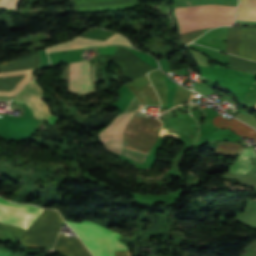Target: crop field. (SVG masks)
Segmentation results:
<instances>
[{
	"label": "crop field",
	"instance_id": "crop-field-1",
	"mask_svg": "<svg viewBox=\"0 0 256 256\" xmlns=\"http://www.w3.org/2000/svg\"><path fill=\"white\" fill-rule=\"evenodd\" d=\"M236 7L201 5L176 8L181 34L220 25H233Z\"/></svg>",
	"mask_w": 256,
	"mask_h": 256
},
{
	"label": "crop field",
	"instance_id": "crop-field-13",
	"mask_svg": "<svg viewBox=\"0 0 256 256\" xmlns=\"http://www.w3.org/2000/svg\"><path fill=\"white\" fill-rule=\"evenodd\" d=\"M250 157H256L254 149L245 148L240 158L229 171V173L243 175L249 169L253 168Z\"/></svg>",
	"mask_w": 256,
	"mask_h": 256
},
{
	"label": "crop field",
	"instance_id": "crop-field-5",
	"mask_svg": "<svg viewBox=\"0 0 256 256\" xmlns=\"http://www.w3.org/2000/svg\"><path fill=\"white\" fill-rule=\"evenodd\" d=\"M42 94L43 91L34 80L28 83L23 91L14 98V100L18 103L27 104L31 113L36 117L55 124L59 118L51 114L48 106L41 98Z\"/></svg>",
	"mask_w": 256,
	"mask_h": 256
},
{
	"label": "crop field",
	"instance_id": "crop-field-19",
	"mask_svg": "<svg viewBox=\"0 0 256 256\" xmlns=\"http://www.w3.org/2000/svg\"><path fill=\"white\" fill-rule=\"evenodd\" d=\"M143 107L142 104H140L137 99L133 96V98L131 99V101L129 102L128 106L126 107V109L124 110V112L127 111H138L141 110Z\"/></svg>",
	"mask_w": 256,
	"mask_h": 256
},
{
	"label": "crop field",
	"instance_id": "crop-field-20",
	"mask_svg": "<svg viewBox=\"0 0 256 256\" xmlns=\"http://www.w3.org/2000/svg\"><path fill=\"white\" fill-rule=\"evenodd\" d=\"M21 1V0H20ZM19 0H10L7 8L14 10L18 4ZM20 3V2H19Z\"/></svg>",
	"mask_w": 256,
	"mask_h": 256
},
{
	"label": "crop field",
	"instance_id": "crop-field-18",
	"mask_svg": "<svg viewBox=\"0 0 256 256\" xmlns=\"http://www.w3.org/2000/svg\"><path fill=\"white\" fill-rule=\"evenodd\" d=\"M193 92L182 88L181 86L177 85V89L174 96L173 106L182 104L185 102H189L191 99Z\"/></svg>",
	"mask_w": 256,
	"mask_h": 256
},
{
	"label": "crop field",
	"instance_id": "crop-field-11",
	"mask_svg": "<svg viewBox=\"0 0 256 256\" xmlns=\"http://www.w3.org/2000/svg\"><path fill=\"white\" fill-rule=\"evenodd\" d=\"M238 55L256 60L255 27H242Z\"/></svg>",
	"mask_w": 256,
	"mask_h": 256
},
{
	"label": "crop field",
	"instance_id": "crop-field-15",
	"mask_svg": "<svg viewBox=\"0 0 256 256\" xmlns=\"http://www.w3.org/2000/svg\"><path fill=\"white\" fill-rule=\"evenodd\" d=\"M237 19L256 21V0H241Z\"/></svg>",
	"mask_w": 256,
	"mask_h": 256
},
{
	"label": "crop field",
	"instance_id": "crop-field-12",
	"mask_svg": "<svg viewBox=\"0 0 256 256\" xmlns=\"http://www.w3.org/2000/svg\"><path fill=\"white\" fill-rule=\"evenodd\" d=\"M213 123L221 128H229L241 136L254 137L256 139L255 130L233 118L228 121L218 115L213 119Z\"/></svg>",
	"mask_w": 256,
	"mask_h": 256
},
{
	"label": "crop field",
	"instance_id": "crop-field-8",
	"mask_svg": "<svg viewBox=\"0 0 256 256\" xmlns=\"http://www.w3.org/2000/svg\"><path fill=\"white\" fill-rule=\"evenodd\" d=\"M69 89L75 92H93L89 81V62L70 63V85Z\"/></svg>",
	"mask_w": 256,
	"mask_h": 256
},
{
	"label": "crop field",
	"instance_id": "crop-field-14",
	"mask_svg": "<svg viewBox=\"0 0 256 256\" xmlns=\"http://www.w3.org/2000/svg\"><path fill=\"white\" fill-rule=\"evenodd\" d=\"M149 78L161 100V106H166V86L159 70L149 73Z\"/></svg>",
	"mask_w": 256,
	"mask_h": 256
},
{
	"label": "crop field",
	"instance_id": "crop-field-7",
	"mask_svg": "<svg viewBox=\"0 0 256 256\" xmlns=\"http://www.w3.org/2000/svg\"><path fill=\"white\" fill-rule=\"evenodd\" d=\"M131 115L132 113L119 114L112 124L99 134L106 148L121 153L123 130Z\"/></svg>",
	"mask_w": 256,
	"mask_h": 256
},
{
	"label": "crop field",
	"instance_id": "crop-field-9",
	"mask_svg": "<svg viewBox=\"0 0 256 256\" xmlns=\"http://www.w3.org/2000/svg\"><path fill=\"white\" fill-rule=\"evenodd\" d=\"M135 96L143 104H159L158 97L146 75L141 79L128 83Z\"/></svg>",
	"mask_w": 256,
	"mask_h": 256
},
{
	"label": "crop field",
	"instance_id": "crop-field-2",
	"mask_svg": "<svg viewBox=\"0 0 256 256\" xmlns=\"http://www.w3.org/2000/svg\"><path fill=\"white\" fill-rule=\"evenodd\" d=\"M160 121L133 115L125 131L124 147L147 153L158 137ZM124 149L123 153L143 160L145 153Z\"/></svg>",
	"mask_w": 256,
	"mask_h": 256
},
{
	"label": "crop field",
	"instance_id": "crop-field-4",
	"mask_svg": "<svg viewBox=\"0 0 256 256\" xmlns=\"http://www.w3.org/2000/svg\"><path fill=\"white\" fill-rule=\"evenodd\" d=\"M67 223L79 235L94 256L113 255V246L118 233L87 221H82L79 224Z\"/></svg>",
	"mask_w": 256,
	"mask_h": 256
},
{
	"label": "crop field",
	"instance_id": "crop-field-10",
	"mask_svg": "<svg viewBox=\"0 0 256 256\" xmlns=\"http://www.w3.org/2000/svg\"><path fill=\"white\" fill-rule=\"evenodd\" d=\"M54 249L65 256H91L79 238H71L60 234Z\"/></svg>",
	"mask_w": 256,
	"mask_h": 256
},
{
	"label": "crop field",
	"instance_id": "crop-field-22",
	"mask_svg": "<svg viewBox=\"0 0 256 256\" xmlns=\"http://www.w3.org/2000/svg\"><path fill=\"white\" fill-rule=\"evenodd\" d=\"M253 109L256 110V104H255V106L253 107Z\"/></svg>",
	"mask_w": 256,
	"mask_h": 256
},
{
	"label": "crop field",
	"instance_id": "crop-field-6",
	"mask_svg": "<svg viewBox=\"0 0 256 256\" xmlns=\"http://www.w3.org/2000/svg\"><path fill=\"white\" fill-rule=\"evenodd\" d=\"M0 200L10 204L12 206H23L29 208H35L37 210L43 211V209H39L29 205H17L14 203H10L9 201L0 197ZM0 201V221L9 224L16 225L27 229L33 221L40 215V211H36L34 209H28L23 207H12Z\"/></svg>",
	"mask_w": 256,
	"mask_h": 256
},
{
	"label": "crop field",
	"instance_id": "crop-field-17",
	"mask_svg": "<svg viewBox=\"0 0 256 256\" xmlns=\"http://www.w3.org/2000/svg\"><path fill=\"white\" fill-rule=\"evenodd\" d=\"M242 145L232 142H220L213 154L236 155L241 150Z\"/></svg>",
	"mask_w": 256,
	"mask_h": 256
},
{
	"label": "crop field",
	"instance_id": "crop-field-21",
	"mask_svg": "<svg viewBox=\"0 0 256 256\" xmlns=\"http://www.w3.org/2000/svg\"><path fill=\"white\" fill-rule=\"evenodd\" d=\"M8 253L4 252V251H0V256H7Z\"/></svg>",
	"mask_w": 256,
	"mask_h": 256
},
{
	"label": "crop field",
	"instance_id": "crop-field-16",
	"mask_svg": "<svg viewBox=\"0 0 256 256\" xmlns=\"http://www.w3.org/2000/svg\"><path fill=\"white\" fill-rule=\"evenodd\" d=\"M229 68L256 73V62L229 55Z\"/></svg>",
	"mask_w": 256,
	"mask_h": 256
},
{
	"label": "crop field",
	"instance_id": "crop-field-3",
	"mask_svg": "<svg viewBox=\"0 0 256 256\" xmlns=\"http://www.w3.org/2000/svg\"><path fill=\"white\" fill-rule=\"evenodd\" d=\"M62 218L54 210L44 209L38 219L21 236L20 242L32 247H44L52 249L59 230Z\"/></svg>",
	"mask_w": 256,
	"mask_h": 256
}]
</instances>
